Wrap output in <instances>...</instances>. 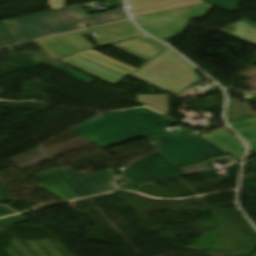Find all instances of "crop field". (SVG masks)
Returning <instances> with one entry per match:
<instances>
[{"label": "crop field", "instance_id": "obj_7", "mask_svg": "<svg viewBox=\"0 0 256 256\" xmlns=\"http://www.w3.org/2000/svg\"><path fill=\"white\" fill-rule=\"evenodd\" d=\"M58 61L113 84L135 69L93 50L78 52Z\"/></svg>", "mask_w": 256, "mask_h": 256}, {"label": "crop field", "instance_id": "obj_27", "mask_svg": "<svg viewBox=\"0 0 256 256\" xmlns=\"http://www.w3.org/2000/svg\"><path fill=\"white\" fill-rule=\"evenodd\" d=\"M161 115V114H160ZM162 116H164V117H166V118H168V119H172V118H170V117H168V116H166V115H162Z\"/></svg>", "mask_w": 256, "mask_h": 256}, {"label": "crop field", "instance_id": "obj_22", "mask_svg": "<svg viewBox=\"0 0 256 256\" xmlns=\"http://www.w3.org/2000/svg\"><path fill=\"white\" fill-rule=\"evenodd\" d=\"M9 214H14V212L5 206H0V216L9 215Z\"/></svg>", "mask_w": 256, "mask_h": 256}, {"label": "crop field", "instance_id": "obj_10", "mask_svg": "<svg viewBox=\"0 0 256 256\" xmlns=\"http://www.w3.org/2000/svg\"><path fill=\"white\" fill-rule=\"evenodd\" d=\"M88 144H91V143L81 138V139L75 140L73 142L64 144L62 146L53 148L51 150H48V152L53 157H56L61 154L67 153L69 151L86 146ZM49 159H51L50 156L42 148H40V149H37L30 153H27L25 155H22L20 157H17L15 159H12V160H10V162H12L18 168L23 170L25 168L31 167L33 165L39 164V163L47 161Z\"/></svg>", "mask_w": 256, "mask_h": 256}, {"label": "crop field", "instance_id": "obj_21", "mask_svg": "<svg viewBox=\"0 0 256 256\" xmlns=\"http://www.w3.org/2000/svg\"><path fill=\"white\" fill-rule=\"evenodd\" d=\"M11 200L7 192L5 191L4 187L0 183V201H8Z\"/></svg>", "mask_w": 256, "mask_h": 256}, {"label": "crop field", "instance_id": "obj_25", "mask_svg": "<svg viewBox=\"0 0 256 256\" xmlns=\"http://www.w3.org/2000/svg\"><path fill=\"white\" fill-rule=\"evenodd\" d=\"M108 114H110V113H108ZM104 115H106V114L98 115V117H96V118H94V119H97V118L102 117V116H104ZM94 119H92V120H94ZM90 121H91V120H90ZM88 122H89V121H88Z\"/></svg>", "mask_w": 256, "mask_h": 256}, {"label": "crop field", "instance_id": "obj_15", "mask_svg": "<svg viewBox=\"0 0 256 256\" xmlns=\"http://www.w3.org/2000/svg\"><path fill=\"white\" fill-rule=\"evenodd\" d=\"M137 100L161 113L169 112L168 95H137Z\"/></svg>", "mask_w": 256, "mask_h": 256}, {"label": "crop field", "instance_id": "obj_13", "mask_svg": "<svg viewBox=\"0 0 256 256\" xmlns=\"http://www.w3.org/2000/svg\"><path fill=\"white\" fill-rule=\"evenodd\" d=\"M220 31L256 45V24L245 19H242Z\"/></svg>", "mask_w": 256, "mask_h": 256}, {"label": "crop field", "instance_id": "obj_14", "mask_svg": "<svg viewBox=\"0 0 256 256\" xmlns=\"http://www.w3.org/2000/svg\"><path fill=\"white\" fill-rule=\"evenodd\" d=\"M229 125L248 143L250 151L256 153V117Z\"/></svg>", "mask_w": 256, "mask_h": 256}, {"label": "crop field", "instance_id": "obj_9", "mask_svg": "<svg viewBox=\"0 0 256 256\" xmlns=\"http://www.w3.org/2000/svg\"><path fill=\"white\" fill-rule=\"evenodd\" d=\"M203 2L201 0H126L133 18Z\"/></svg>", "mask_w": 256, "mask_h": 256}, {"label": "crop field", "instance_id": "obj_26", "mask_svg": "<svg viewBox=\"0 0 256 256\" xmlns=\"http://www.w3.org/2000/svg\"><path fill=\"white\" fill-rule=\"evenodd\" d=\"M55 64H59V63L54 62V63H50V64H46V65L51 66V65H55Z\"/></svg>", "mask_w": 256, "mask_h": 256}, {"label": "crop field", "instance_id": "obj_8", "mask_svg": "<svg viewBox=\"0 0 256 256\" xmlns=\"http://www.w3.org/2000/svg\"><path fill=\"white\" fill-rule=\"evenodd\" d=\"M184 174L160 151L134 161L123 172L132 186L183 176Z\"/></svg>", "mask_w": 256, "mask_h": 256}, {"label": "crop field", "instance_id": "obj_18", "mask_svg": "<svg viewBox=\"0 0 256 256\" xmlns=\"http://www.w3.org/2000/svg\"><path fill=\"white\" fill-rule=\"evenodd\" d=\"M204 1H207L213 5H216L221 8L234 12L236 10V5L238 0H204Z\"/></svg>", "mask_w": 256, "mask_h": 256}, {"label": "crop field", "instance_id": "obj_28", "mask_svg": "<svg viewBox=\"0 0 256 256\" xmlns=\"http://www.w3.org/2000/svg\"><path fill=\"white\" fill-rule=\"evenodd\" d=\"M253 256H256V251H255V253L253 254Z\"/></svg>", "mask_w": 256, "mask_h": 256}, {"label": "crop field", "instance_id": "obj_3", "mask_svg": "<svg viewBox=\"0 0 256 256\" xmlns=\"http://www.w3.org/2000/svg\"><path fill=\"white\" fill-rule=\"evenodd\" d=\"M189 63L170 48L155 57L130 77L171 94L180 92L199 80Z\"/></svg>", "mask_w": 256, "mask_h": 256}, {"label": "crop field", "instance_id": "obj_24", "mask_svg": "<svg viewBox=\"0 0 256 256\" xmlns=\"http://www.w3.org/2000/svg\"><path fill=\"white\" fill-rule=\"evenodd\" d=\"M183 133H184L187 137L196 136V134H195L194 132H192L191 130H189V129L183 131Z\"/></svg>", "mask_w": 256, "mask_h": 256}, {"label": "crop field", "instance_id": "obj_20", "mask_svg": "<svg viewBox=\"0 0 256 256\" xmlns=\"http://www.w3.org/2000/svg\"><path fill=\"white\" fill-rule=\"evenodd\" d=\"M65 0H50L49 6H51V10L61 8L64 6Z\"/></svg>", "mask_w": 256, "mask_h": 256}, {"label": "crop field", "instance_id": "obj_2", "mask_svg": "<svg viewBox=\"0 0 256 256\" xmlns=\"http://www.w3.org/2000/svg\"><path fill=\"white\" fill-rule=\"evenodd\" d=\"M126 18L123 8L88 16L78 5H75L9 20L8 23L19 43H22L74 31L78 27V22L93 27Z\"/></svg>", "mask_w": 256, "mask_h": 256}, {"label": "crop field", "instance_id": "obj_11", "mask_svg": "<svg viewBox=\"0 0 256 256\" xmlns=\"http://www.w3.org/2000/svg\"><path fill=\"white\" fill-rule=\"evenodd\" d=\"M113 46L145 61L167 47L148 36L114 44Z\"/></svg>", "mask_w": 256, "mask_h": 256}, {"label": "crop field", "instance_id": "obj_5", "mask_svg": "<svg viewBox=\"0 0 256 256\" xmlns=\"http://www.w3.org/2000/svg\"><path fill=\"white\" fill-rule=\"evenodd\" d=\"M62 171L69 176L85 195L78 190ZM36 177L45 184L39 186V188L59 197L63 201L116 189L111 183L113 174L109 170L78 177L70 168H67L37 175Z\"/></svg>", "mask_w": 256, "mask_h": 256}, {"label": "crop field", "instance_id": "obj_1", "mask_svg": "<svg viewBox=\"0 0 256 256\" xmlns=\"http://www.w3.org/2000/svg\"><path fill=\"white\" fill-rule=\"evenodd\" d=\"M176 123L143 108L107 115L71 130L102 149L139 136L156 137L167 147L161 152L177 167L227 155L200 136L187 138L182 132L169 135L163 129Z\"/></svg>", "mask_w": 256, "mask_h": 256}, {"label": "crop field", "instance_id": "obj_12", "mask_svg": "<svg viewBox=\"0 0 256 256\" xmlns=\"http://www.w3.org/2000/svg\"><path fill=\"white\" fill-rule=\"evenodd\" d=\"M202 137L229 154L245 150L241 140L232 136L224 128L210 132L208 135H204ZM244 153L245 151L232 155L237 160L242 161Z\"/></svg>", "mask_w": 256, "mask_h": 256}, {"label": "crop field", "instance_id": "obj_16", "mask_svg": "<svg viewBox=\"0 0 256 256\" xmlns=\"http://www.w3.org/2000/svg\"><path fill=\"white\" fill-rule=\"evenodd\" d=\"M18 41L14 36L7 21L0 22V47L17 44Z\"/></svg>", "mask_w": 256, "mask_h": 256}, {"label": "crop field", "instance_id": "obj_4", "mask_svg": "<svg viewBox=\"0 0 256 256\" xmlns=\"http://www.w3.org/2000/svg\"><path fill=\"white\" fill-rule=\"evenodd\" d=\"M93 32H96L101 36L94 38V40L100 45L144 35L142 32L136 29L130 21H127L73 34L40 40L36 41L35 43L38 44L55 60H58L78 51L94 49L95 47L81 36L83 34Z\"/></svg>", "mask_w": 256, "mask_h": 256}, {"label": "crop field", "instance_id": "obj_6", "mask_svg": "<svg viewBox=\"0 0 256 256\" xmlns=\"http://www.w3.org/2000/svg\"><path fill=\"white\" fill-rule=\"evenodd\" d=\"M211 7L207 3L135 18L134 21L148 34L161 39L183 32L193 18H201Z\"/></svg>", "mask_w": 256, "mask_h": 256}, {"label": "crop field", "instance_id": "obj_17", "mask_svg": "<svg viewBox=\"0 0 256 256\" xmlns=\"http://www.w3.org/2000/svg\"><path fill=\"white\" fill-rule=\"evenodd\" d=\"M51 67L56 69V70H58V71H60V72L65 73V74H67V75H69V76H71V77H73L75 79H78V80H80V81H82V82H84L86 84L95 81V80H93V79H91V78H89V77H87V76H85L83 74H80V73H78V72H76V71H74V70H72V69H70V68H68V67H66V66H64L62 64L51 66Z\"/></svg>", "mask_w": 256, "mask_h": 256}, {"label": "crop field", "instance_id": "obj_23", "mask_svg": "<svg viewBox=\"0 0 256 256\" xmlns=\"http://www.w3.org/2000/svg\"><path fill=\"white\" fill-rule=\"evenodd\" d=\"M149 142H151L155 147H157L159 150L165 148V146L160 143L156 138H153V139H149L148 140Z\"/></svg>", "mask_w": 256, "mask_h": 256}, {"label": "crop field", "instance_id": "obj_19", "mask_svg": "<svg viewBox=\"0 0 256 256\" xmlns=\"http://www.w3.org/2000/svg\"><path fill=\"white\" fill-rule=\"evenodd\" d=\"M26 220H29V219L21 214H18V215L0 219V226L5 228V227H8V226H11V225H14V224L26 221Z\"/></svg>", "mask_w": 256, "mask_h": 256}]
</instances>
